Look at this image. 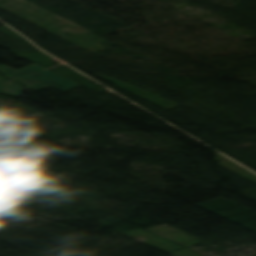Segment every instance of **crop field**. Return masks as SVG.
<instances>
[{"mask_svg": "<svg viewBox=\"0 0 256 256\" xmlns=\"http://www.w3.org/2000/svg\"><path fill=\"white\" fill-rule=\"evenodd\" d=\"M21 89L22 87L20 85L12 83L0 76V94L20 98L19 95L24 93L20 91Z\"/></svg>", "mask_w": 256, "mask_h": 256, "instance_id": "crop-field-1", "label": "crop field"}]
</instances>
